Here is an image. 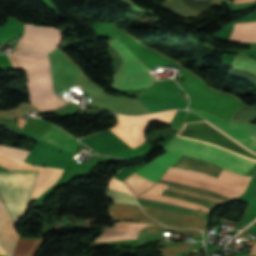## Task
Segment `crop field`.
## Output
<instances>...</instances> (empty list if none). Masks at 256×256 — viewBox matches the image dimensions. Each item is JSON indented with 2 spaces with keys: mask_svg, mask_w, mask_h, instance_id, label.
I'll use <instances>...</instances> for the list:
<instances>
[{
  "mask_svg": "<svg viewBox=\"0 0 256 256\" xmlns=\"http://www.w3.org/2000/svg\"><path fill=\"white\" fill-rule=\"evenodd\" d=\"M92 27L102 29L104 35L117 36L150 68V70L157 65L163 67L164 65L181 67L176 62L143 46L125 32L117 29L114 24L96 22ZM180 72L189 78L179 83L190 98V105L188 108L209 112L215 117L230 120L241 107V103L238 99L206 87L197 77L193 76L184 68L181 67Z\"/></svg>",
  "mask_w": 256,
  "mask_h": 256,
  "instance_id": "crop-field-1",
  "label": "crop field"
},
{
  "mask_svg": "<svg viewBox=\"0 0 256 256\" xmlns=\"http://www.w3.org/2000/svg\"><path fill=\"white\" fill-rule=\"evenodd\" d=\"M164 150L195 157L245 175L256 162L233 155L225 150L175 136Z\"/></svg>",
  "mask_w": 256,
  "mask_h": 256,
  "instance_id": "crop-field-2",
  "label": "crop field"
},
{
  "mask_svg": "<svg viewBox=\"0 0 256 256\" xmlns=\"http://www.w3.org/2000/svg\"><path fill=\"white\" fill-rule=\"evenodd\" d=\"M38 171L0 172V195L14 223L26 212Z\"/></svg>",
  "mask_w": 256,
  "mask_h": 256,
  "instance_id": "crop-field-3",
  "label": "crop field"
},
{
  "mask_svg": "<svg viewBox=\"0 0 256 256\" xmlns=\"http://www.w3.org/2000/svg\"><path fill=\"white\" fill-rule=\"evenodd\" d=\"M31 104L41 111L53 110L67 102L53 93L48 58L45 56L26 70Z\"/></svg>",
  "mask_w": 256,
  "mask_h": 256,
  "instance_id": "crop-field-4",
  "label": "crop field"
},
{
  "mask_svg": "<svg viewBox=\"0 0 256 256\" xmlns=\"http://www.w3.org/2000/svg\"><path fill=\"white\" fill-rule=\"evenodd\" d=\"M123 57L124 65L113 76V86L120 89H140L149 87L155 80L148 74L149 70L133 55L131 51L116 38L108 41Z\"/></svg>",
  "mask_w": 256,
  "mask_h": 256,
  "instance_id": "crop-field-5",
  "label": "crop field"
},
{
  "mask_svg": "<svg viewBox=\"0 0 256 256\" xmlns=\"http://www.w3.org/2000/svg\"><path fill=\"white\" fill-rule=\"evenodd\" d=\"M29 151L21 150L14 147H5L0 145V165L11 170L20 165ZM17 170H39L37 181L33 190V195L30 200L37 199L42 193L48 190L55 184L59 176L62 174V169H53L48 167L32 166L23 162L16 168ZM61 177V176H60Z\"/></svg>",
  "mask_w": 256,
  "mask_h": 256,
  "instance_id": "crop-field-6",
  "label": "crop field"
},
{
  "mask_svg": "<svg viewBox=\"0 0 256 256\" xmlns=\"http://www.w3.org/2000/svg\"><path fill=\"white\" fill-rule=\"evenodd\" d=\"M192 111L198 113L215 126L232 136L234 139L256 152V125L242 122L224 121L196 110Z\"/></svg>",
  "mask_w": 256,
  "mask_h": 256,
  "instance_id": "crop-field-7",
  "label": "crop field"
},
{
  "mask_svg": "<svg viewBox=\"0 0 256 256\" xmlns=\"http://www.w3.org/2000/svg\"><path fill=\"white\" fill-rule=\"evenodd\" d=\"M143 210L159 222L174 228H203L206 219L187 216L171 211L160 210L155 208L143 207Z\"/></svg>",
  "mask_w": 256,
  "mask_h": 256,
  "instance_id": "crop-field-8",
  "label": "crop field"
},
{
  "mask_svg": "<svg viewBox=\"0 0 256 256\" xmlns=\"http://www.w3.org/2000/svg\"><path fill=\"white\" fill-rule=\"evenodd\" d=\"M71 158L44 147L35 145L31 150L25 162L33 163L35 165H46L54 168H66Z\"/></svg>",
  "mask_w": 256,
  "mask_h": 256,
  "instance_id": "crop-field-9",
  "label": "crop field"
},
{
  "mask_svg": "<svg viewBox=\"0 0 256 256\" xmlns=\"http://www.w3.org/2000/svg\"><path fill=\"white\" fill-rule=\"evenodd\" d=\"M161 179L164 180H170V181H174V182H178V183H183V184H187V185H192V186H196V187H200V188H204L210 191H214L220 194H223L225 196L231 197L233 199L239 197L240 195H242L243 193L209 182L207 180L204 179H200V178H194V177H188V176H184V175H180V174H175V173H169V172H165V174L162 176Z\"/></svg>",
  "mask_w": 256,
  "mask_h": 256,
  "instance_id": "crop-field-10",
  "label": "crop field"
},
{
  "mask_svg": "<svg viewBox=\"0 0 256 256\" xmlns=\"http://www.w3.org/2000/svg\"><path fill=\"white\" fill-rule=\"evenodd\" d=\"M168 171L170 172H176V173H181L185 175H190V176H196V177H201L240 191H245L251 177H246V176H240L235 173L228 172L223 169L222 173L220 174L219 178H213L209 177L203 174H199L196 172H191V171H185V170H180V169H174V168H169Z\"/></svg>",
  "mask_w": 256,
  "mask_h": 256,
  "instance_id": "crop-field-11",
  "label": "crop field"
},
{
  "mask_svg": "<svg viewBox=\"0 0 256 256\" xmlns=\"http://www.w3.org/2000/svg\"><path fill=\"white\" fill-rule=\"evenodd\" d=\"M148 224L121 222L101 235L95 242L137 239V233Z\"/></svg>",
  "mask_w": 256,
  "mask_h": 256,
  "instance_id": "crop-field-12",
  "label": "crop field"
},
{
  "mask_svg": "<svg viewBox=\"0 0 256 256\" xmlns=\"http://www.w3.org/2000/svg\"><path fill=\"white\" fill-rule=\"evenodd\" d=\"M180 157L181 156H179V155H175V154L166 152L161 157L150 162L145 167H143L142 169H140L136 172L148 179H151V180L157 182L158 179L163 175V173L171 165L176 163Z\"/></svg>",
  "mask_w": 256,
  "mask_h": 256,
  "instance_id": "crop-field-13",
  "label": "crop field"
},
{
  "mask_svg": "<svg viewBox=\"0 0 256 256\" xmlns=\"http://www.w3.org/2000/svg\"><path fill=\"white\" fill-rule=\"evenodd\" d=\"M19 235L14 229V223L5 207L0 200V239L5 245L9 256H11L15 243Z\"/></svg>",
  "mask_w": 256,
  "mask_h": 256,
  "instance_id": "crop-field-14",
  "label": "crop field"
},
{
  "mask_svg": "<svg viewBox=\"0 0 256 256\" xmlns=\"http://www.w3.org/2000/svg\"><path fill=\"white\" fill-rule=\"evenodd\" d=\"M109 212L110 217L115 219H132L142 222L158 224L157 222L148 218L141 211L138 205L113 203L112 205H109Z\"/></svg>",
  "mask_w": 256,
  "mask_h": 256,
  "instance_id": "crop-field-15",
  "label": "crop field"
},
{
  "mask_svg": "<svg viewBox=\"0 0 256 256\" xmlns=\"http://www.w3.org/2000/svg\"><path fill=\"white\" fill-rule=\"evenodd\" d=\"M167 188H168L167 185L157 183L151 189H149L148 191L143 193L141 196H139V198L162 201V202L175 204V205H179V206H183V207H187V208L202 210V211L208 212V213L210 212V210H208L207 208H205L204 206H201V205H197V204H194L191 202L177 200V199H174L171 197L161 196L163 189L167 190Z\"/></svg>",
  "mask_w": 256,
  "mask_h": 256,
  "instance_id": "crop-field-16",
  "label": "crop field"
},
{
  "mask_svg": "<svg viewBox=\"0 0 256 256\" xmlns=\"http://www.w3.org/2000/svg\"><path fill=\"white\" fill-rule=\"evenodd\" d=\"M42 139L53 143L62 149L72 152L76 151L80 143L66 132H64L62 129L53 125H51L50 128L45 132V134L42 136Z\"/></svg>",
  "mask_w": 256,
  "mask_h": 256,
  "instance_id": "crop-field-17",
  "label": "crop field"
},
{
  "mask_svg": "<svg viewBox=\"0 0 256 256\" xmlns=\"http://www.w3.org/2000/svg\"><path fill=\"white\" fill-rule=\"evenodd\" d=\"M172 167L197 171L205 174L212 175L218 178L222 168L210 165L204 161L188 158L182 156L181 159Z\"/></svg>",
  "mask_w": 256,
  "mask_h": 256,
  "instance_id": "crop-field-18",
  "label": "crop field"
},
{
  "mask_svg": "<svg viewBox=\"0 0 256 256\" xmlns=\"http://www.w3.org/2000/svg\"><path fill=\"white\" fill-rule=\"evenodd\" d=\"M229 40L237 42H256V22L235 23V28Z\"/></svg>",
  "mask_w": 256,
  "mask_h": 256,
  "instance_id": "crop-field-19",
  "label": "crop field"
},
{
  "mask_svg": "<svg viewBox=\"0 0 256 256\" xmlns=\"http://www.w3.org/2000/svg\"><path fill=\"white\" fill-rule=\"evenodd\" d=\"M137 201L140 205H143V206L166 209V210H171V211H175V212H179V213H183V214H187V215H194V216L205 217V218H207V216H208L207 213H203V212H199V211H195V210H191V209H187V208H183V207H179V206H174V205H169V204H164V203H159V202H153V201H147V200H143V199H139V198H137Z\"/></svg>",
  "mask_w": 256,
  "mask_h": 256,
  "instance_id": "crop-field-20",
  "label": "crop field"
},
{
  "mask_svg": "<svg viewBox=\"0 0 256 256\" xmlns=\"http://www.w3.org/2000/svg\"><path fill=\"white\" fill-rule=\"evenodd\" d=\"M124 182L132 190L135 197L155 184V182L137 175L136 172L129 176L127 179H125Z\"/></svg>",
  "mask_w": 256,
  "mask_h": 256,
  "instance_id": "crop-field-21",
  "label": "crop field"
},
{
  "mask_svg": "<svg viewBox=\"0 0 256 256\" xmlns=\"http://www.w3.org/2000/svg\"><path fill=\"white\" fill-rule=\"evenodd\" d=\"M43 239H19L13 256H33Z\"/></svg>",
  "mask_w": 256,
  "mask_h": 256,
  "instance_id": "crop-field-22",
  "label": "crop field"
},
{
  "mask_svg": "<svg viewBox=\"0 0 256 256\" xmlns=\"http://www.w3.org/2000/svg\"><path fill=\"white\" fill-rule=\"evenodd\" d=\"M200 244H203V243L202 242H196V243H193V244H187V245H181V246H175V247H168V248H160V249H157V250L161 253L162 256H176V253L194 248L196 246H199Z\"/></svg>",
  "mask_w": 256,
  "mask_h": 256,
  "instance_id": "crop-field-23",
  "label": "crop field"
},
{
  "mask_svg": "<svg viewBox=\"0 0 256 256\" xmlns=\"http://www.w3.org/2000/svg\"><path fill=\"white\" fill-rule=\"evenodd\" d=\"M106 198L110 199L114 202L137 204V202L134 200L133 197H131L125 193H121V192H117V191H113V190H106Z\"/></svg>",
  "mask_w": 256,
  "mask_h": 256,
  "instance_id": "crop-field-24",
  "label": "crop field"
},
{
  "mask_svg": "<svg viewBox=\"0 0 256 256\" xmlns=\"http://www.w3.org/2000/svg\"><path fill=\"white\" fill-rule=\"evenodd\" d=\"M159 182L174 186V187H178V188H182V189H187V190H192L198 193H202V194H207V195H211L226 201H230L232 199L226 198L220 194L214 193V192H210L207 190H203V189H199V188H195V187H190V186H186V185H181V184H177V183H172V182H168V181H163V180H159Z\"/></svg>",
  "mask_w": 256,
  "mask_h": 256,
  "instance_id": "crop-field-25",
  "label": "crop field"
},
{
  "mask_svg": "<svg viewBox=\"0 0 256 256\" xmlns=\"http://www.w3.org/2000/svg\"><path fill=\"white\" fill-rule=\"evenodd\" d=\"M162 195H166V196H171V197H175V198H180V199H185V200H189L192 201L194 203H199L202 204L204 206H206L209 209H214L216 208L218 205L201 200V199H197V198H193V197H189V196H185V195H181V194H177L174 192H170V191H164Z\"/></svg>",
  "mask_w": 256,
  "mask_h": 256,
  "instance_id": "crop-field-26",
  "label": "crop field"
},
{
  "mask_svg": "<svg viewBox=\"0 0 256 256\" xmlns=\"http://www.w3.org/2000/svg\"><path fill=\"white\" fill-rule=\"evenodd\" d=\"M232 66L239 67L246 70H251L256 73V60L251 58L236 57Z\"/></svg>",
  "mask_w": 256,
  "mask_h": 256,
  "instance_id": "crop-field-27",
  "label": "crop field"
},
{
  "mask_svg": "<svg viewBox=\"0 0 256 256\" xmlns=\"http://www.w3.org/2000/svg\"><path fill=\"white\" fill-rule=\"evenodd\" d=\"M142 232H176V233H184V234H191V235H199L202 236V233L197 230H174L164 227H148Z\"/></svg>",
  "mask_w": 256,
  "mask_h": 256,
  "instance_id": "crop-field-28",
  "label": "crop field"
},
{
  "mask_svg": "<svg viewBox=\"0 0 256 256\" xmlns=\"http://www.w3.org/2000/svg\"><path fill=\"white\" fill-rule=\"evenodd\" d=\"M168 190L178 192V193H182V194H186V195H190V196H193V197L203 198V199H206V200H208L210 202H213V203H216V204H220V203L223 202V201H221L217 198H214V197H210V196H206V195H202V194H197V193H194V192L174 188V187H171V186H169Z\"/></svg>",
  "mask_w": 256,
  "mask_h": 256,
  "instance_id": "crop-field-29",
  "label": "crop field"
},
{
  "mask_svg": "<svg viewBox=\"0 0 256 256\" xmlns=\"http://www.w3.org/2000/svg\"><path fill=\"white\" fill-rule=\"evenodd\" d=\"M248 233H249V230L247 228L242 234L238 235V237L246 239Z\"/></svg>",
  "mask_w": 256,
  "mask_h": 256,
  "instance_id": "crop-field-30",
  "label": "crop field"
},
{
  "mask_svg": "<svg viewBox=\"0 0 256 256\" xmlns=\"http://www.w3.org/2000/svg\"><path fill=\"white\" fill-rule=\"evenodd\" d=\"M256 0H234L233 3H238V2H255Z\"/></svg>",
  "mask_w": 256,
  "mask_h": 256,
  "instance_id": "crop-field-31",
  "label": "crop field"
},
{
  "mask_svg": "<svg viewBox=\"0 0 256 256\" xmlns=\"http://www.w3.org/2000/svg\"><path fill=\"white\" fill-rule=\"evenodd\" d=\"M249 254H255L256 255V243L255 245L252 247L251 251L249 252Z\"/></svg>",
  "mask_w": 256,
  "mask_h": 256,
  "instance_id": "crop-field-32",
  "label": "crop field"
},
{
  "mask_svg": "<svg viewBox=\"0 0 256 256\" xmlns=\"http://www.w3.org/2000/svg\"><path fill=\"white\" fill-rule=\"evenodd\" d=\"M0 254H2V255H6V253H5V251H4V249H3V247H2V245L0 244Z\"/></svg>",
  "mask_w": 256,
  "mask_h": 256,
  "instance_id": "crop-field-33",
  "label": "crop field"
},
{
  "mask_svg": "<svg viewBox=\"0 0 256 256\" xmlns=\"http://www.w3.org/2000/svg\"><path fill=\"white\" fill-rule=\"evenodd\" d=\"M0 171H8V170H6V169L0 167Z\"/></svg>",
  "mask_w": 256,
  "mask_h": 256,
  "instance_id": "crop-field-34",
  "label": "crop field"
},
{
  "mask_svg": "<svg viewBox=\"0 0 256 256\" xmlns=\"http://www.w3.org/2000/svg\"><path fill=\"white\" fill-rule=\"evenodd\" d=\"M0 256H2V255H0Z\"/></svg>",
  "mask_w": 256,
  "mask_h": 256,
  "instance_id": "crop-field-35",
  "label": "crop field"
}]
</instances>
